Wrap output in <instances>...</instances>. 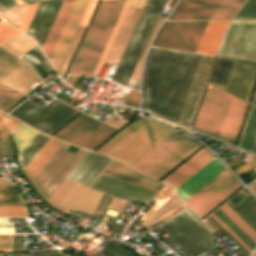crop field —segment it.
Masks as SVG:
<instances>
[{
    "label": "crop field",
    "instance_id": "1",
    "mask_svg": "<svg viewBox=\"0 0 256 256\" xmlns=\"http://www.w3.org/2000/svg\"><path fill=\"white\" fill-rule=\"evenodd\" d=\"M199 56L154 48L147 67L144 109L177 122Z\"/></svg>",
    "mask_w": 256,
    "mask_h": 256
},
{
    "label": "crop field",
    "instance_id": "2",
    "mask_svg": "<svg viewBox=\"0 0 256 256\" xmlns=\"http://www.w3.org/2000/svg\"><path fill=\"white\" fill-rule=\"evenodd\" d=\"M247 104L207 88L193 128L234 144Z\"/></svg>",
    "mask_w": 256,
    "mask_h": 256
},
{
    "label": "crop field",
    "instance_id": "3",
    "mask_svg": "<svg viewBox=\"0 0 256 256\" xmlns=\"http://www.w3.org/2000/svg\"><path fill=\"white\" fill-rule=\"evenodd\" d=\"M201 146L172 131L128 166L159 180Z\"/></svg>",
    "mask_w": 256,
    "mask_h": 256
},
{
    "label": "crop field",
    "instance_id": "4",
    "mask_svg": "<svg viewBox=\"0 0 256 256\" xmlns=\"http://www.w3.org/2000/svg\"><path fill=\"white\" fill-rule=\"evenodd\" d=\"M125 0L103 1L70 74L91 76Z\"/></svg>",
    "mask_w": 256,
    "mask_h": 256
},
{
    "label": "crop field",
    "instance_id": "5",
    "mask_svg": "<svg viewBox=\"0 0 256 256\" xmlns=\"http://www.w3.org/2000/svg\"><path fill=\"white\" fill-rule=\"evenodd\" d=\"M214 158L204 147L162 182L170 185L175 190ZM224 169L226 168L215 158L175 191L184 201Z\"/></svg>",
    "mask_w": 256,
    "mask_h": 256
},
{
    "label": "crop field",
    "instance_id": "6",
    "mask_svg": "<svg viewBox=\"0 0 256 256\" xmlns=\"http://www.w3.org/2000/svg\"><path fill=\"white\" fill-rule=\"evenodd\" d=\"M256 78V63L217 57L209 84L249 100Z\"/></svg>",
    "mask_w": 256,
    "mask_h": 256
},
{
    "label": "crop field",
    "instance_id": "7",
    "mask_svg": "<svg viewBox=\"0 0 256 256\" xmlns=\"http://www.w3.org/2000/svg\"><path fill=\"white\" fill-rule=\"evenodd\" d=\"M159 226L190 256L214 249L209 230L188 208Z\"/></svg>",
    "mask_w": 256,
    "mask_h": 256
},
{
    "label": "crop field",
    "instance_id": "8",
    "mask_svg": "<svg viewBox=\"0 0 256 256\" xmlns=\"http://www.w3.org/2000/svg\"><path fill=\"white\" fill-rule=\"evenodd\" d=\"M77 113L79 111L56 99L42 109L27 99L9 114L51 135Z\"/></svg>",
    "mask_w": 256,
    "mask_h": 256
},
{
    "label": "crop field",
    "instance_id": "9",
    "mask_svg": "<svg viewBox=\"0 0 256 256\" xmlns=\"http://www.w3.org/2000/svg\"><path fill=\"white\" fill-rule=\"evenodd\" d=\"M164 0H149L129 45L123 55L113 81L126 85L135 63L141 53Z\"/></svg>",
    "mask_w": 256,
    "mask_h": 256
},
{
    "label": "crop field",
    "instance_id": "10",
    "mask_svg": "<svg viewBox=\"0 0 256 256\" xmlns=\"http://www.w3.org/2000/svg\"><path fill=\"white\" fill-rule=\"evenodd\" d=\"M116 131V129L82 113L54 137L93 150Z\"/></svg>",
    "mask_w": 256,
    "mask_h": 256
},
{
    "label": "crop field",
    "instance_id": "11",
    "mask_svg": "<svg viewBox=\"0 0 256 256\" xmlns=\"http://www.w3.org/2000/svg\"><path fill=\"white\" fill-rule=\"evenodd\" d=\"M241 186L226 169L185 203L201 219Z\"/></svg>",
    "mask_w": 256,
    "mask_h": 256
},
{
    "label": "crop field",
    "instance_id": "12",
    "mask_svg": "<svg viewBox=\"0 0 256 256\" xmlns=\"http://www.w3.org/2000/svg\"><path fill=\"white\" fill-rule=\"evenodd\" d=\"M102 196L103 193L64 179L47 202L66 213L73 209L93 215Z\"/></svg>",
    "mask_w": 256,
    "mask_h": 256
},
{
    "label": "crop field",
    "instance_id": "13",
    "mask_svg": "<svg viewBox=\"0 0 256 256\" xmlns=\"http://www.w3.org/2000/svg\"><path fill=\"white\" fill-rule=\"evenodd\" d=\"M169 132L171 130L148 121L107 155L128 165Z\"/></svg>",
    "mask_w": 256,
    "mask_h": 256
},
{
    "label": "crop field",
    "instance_id": "14",
    "mask_svg": "<svg viewBox=\"0 0 256 256\" xmlns=\"http://www.w3.org/2000/svg\"><path fill=\"white\" fill-rule=\"evenodd\" d=\"M218 55L256 60V21H233Z\"/></svg>",
    "mask_w": 256,
    "mask_h": 256
},
{
    "label": "crop field",
    "instance_id": "15",
    "mask_svg": "<svg viewBox=\"0 0 256 256\" xmlns=\"http://www.w3.org/2000/svg\"><path fill=\"white\" fill-rule=\"evenodd\" d=\"M206 22H167L155 45L194 52Z\"/></svg>",
    "mask_w": 256,
    "mask_h": 256
},
{
    "label": "crop field",
    "instance_id": "16",
    "mask_svg": "<svg viewBox=\"0 0 256 256\" xmlns=\"http://www.w3.org/2000/svg\"><path fill=\"white\" fill-rule=\"evenodd\" d=\"M213 57L201 55L190 89L188 91L180 118L179 123L188 127L191 126L196 107L207 77V73Z\"/></svg>",
    "mask_w": 256,
    "mask_h": 256
},
{
    "label": "crop field",
    "instance_id": "17",
    "mask_svg": "<svg viewBox=\"0 0 256 256\" xmlns=\"http://www.w3.org/2000/svg\"><path fill=\"white\" fill-rule=\"evenodd\" d=\"M62 1L63 0H52L40 3L26 32L38 42L41 48Z\"/></svg>",
    "mask_w": 256,
    "mask_h": 256
},
{
    "label": "crop field",
    "instance_id": "18",
    "mask_svg": "<svg viewBox=\"0 0 256 256\" xmlns=\"http://www.w3.org/2000/svg\"><path fill=\"white\" fill-rule=\"evenodd\" d=\"M89 0H76L68 16L64 28L49 58L50 62L57 70L63 55L71 41V38L78 26V23L86 9Z\"/></svg>",
    "mask_w": 256,
    "mask_h": 256
},
{
    "label": "crop field",
    "instance_id": "19",
    "mask_svg": "<svg viewBox=\"0 0 256 256\" xmlns=\"http://www.w3.org/2000/svg\"><path fill=\"white\" fill-rule=\"evenodd\" d=\"M94 188L103 192L112 193L127 197L133 200L148 203L157 191L139 187L133 184L115 180L109 177L100 175L95 181Z\"/></svg>",
    "mask_w": 256,
    "mask_h": 256
},
{
    "label": "crop field",
    "instance_id": "20",
    "mask_svg": "<svg viewBox=\"0 0 256 256\" xmlns=\"http://www.w3.org/2000/svg\"><path fill=\"white\" fill-rule=\"evenodd\" d=\"M110 158L88 151L66 179L90 186Z\"/></svg>",
    "mask_w": 256,
    "mask_h": 256
},
{
    "label": "crop field",
    "instance_id": "21",
    "mask_svg": "<svg viewBox=\"0 0 256 256\" xmlns=\"http://www.w3.org/2000/svg\"><path fill=\"white\" fill-rule=\"evenodd\" d=\"M222 0H184L170 20H209Z\"/></svg>",
    "mask_w": 256,
    "mask_h": 256
},
{
    "label": "crop field",
    "instance_id": "22",
    "mask_svg": "<svg viewBox=\"0 0 256 256\" xmlns=\"http://www.w3.org/2000/svg\"><path fill=\"white\" fill-rule=\"evenodd\" d=\"M229 21H208L195 52L214 55Z\"/></svg>",
    "mask_w": 256,
    "mask_h": 256
},
{
    "label": "crop field",
    "instance_id": "23",
    "mask_svg": "<svg viewBox=\"0 0 256 256\" xmlns=\"http://www.w3.org/2000/svg\"><path fill=\"white\" fill-rule=\"evenodd\" d=\"M110 172H113L112 178L123 180L126 182L134 183L137 185L145 186L148 188L160 190V188L164 185L161 184L151 178H148L114 160H112L109 165L105 168ZM102 175H105L102 173ZM107 176V175H105ZM110 177V176H109Z\"/></svg>",
    "mask_w": 256,
    "mask_h": 256
},
{
    "label": "crop field",
    "instance_id": "24",
    "mask_svg": "<svg viewBox=\"0 0 256 256\" xmlns=\"http://www.w3.org/2000/svg\"><path fill=\"white\" fill-rule=\"evenodd\" d=\"M75 0H64L61 8L57 14V17L54 21V24L50 30V33L46 39V42L42 48L45 55L49 58L53 47L58 39V36L62 30V27L67 19V16L72 8V5Z\"/></svg>",
    "mask_w": 256,
    "mask_h": 256
},
{
    "label": "crop field",
    "instance_id": "25",
    "mask_svg": "<svg viewBox=\"0 0 256 256\" xmlns=\"http://www.w3.org/2000/svg\"><path fill=\"white\" fill-rule=\"evenodd\" d=\"M61 143L62 141L53 139L51 137L49 138V140L45 143L41 150L23 170L30 181L42 168L46 161L51 157V155L56 151V149L61 145Z\"/></svg>",
    "mask_w": 256,
    "mask_h": 256
},
{
    "label": "crop field",
    "instance_id": "26",
    "mask_svg": "<svg viewBox=\"0 0 256 256\" xmlns=\"http://www.w3.org/2000/svg\"><path fill=\"white\" fill-rule=\"evenodd\" d=\"M19 58L27 62L40 79L54 70H52L38 46H35Z\"/></svg>",
    "mask_w": 256,
    "mask_h": 256
},
{
    "label": "crop field",
    "instance_id": "27",
    "mask_svg": "<svg viewBox=\"0 0 256 256\" xmlns=\"http://www.w3.org/2000/svg\"><path fill=\"white\" fill-rule=\"evenodd\" d=\"M226 203L256 231V199L250 193L235 206Z\"/></svg>",
    "mask_w": 256,
    "mask_h": 256
},
{
    "label": "crop field",
    "instance_id": "28",
    "mask_svg": "<svg viewBox=\"0 0 256 256\" xmlns=\"http://www.w3.org/2000/svg\"><path fill=\"white\" fill-rule=\"evenodd\" d=\"M256 142V106L251 105L245 127L239 142V147L253 151Z\"/></svg>",
    "mask_w": 256,
    "mask_h": 256
},
{
    "label": "crop field",
    "instance_id": "29",
    "mask_svg": "<svg viewBox=\"0 0 256 256\" xmlns=\"http://www.w3.org/2000/svg\"><path fill=\"white\" fill-rule=\"evenodd\" d=\"M49 136H46L41 133H37V135L33 138V140L29 143V145L25 148V150L19 156V164L22 169L29 163V161L34 157V155L38 152V150L43 146V144L48 140Z\"/></svg>",
    "mask_w": 256,
    "mask_h": 256
},
{
    "label": "crop field",
    "instance_id": "30",
    "mask_svg": "<svg viewBox=\"0 0 256 256\" xmlns=\"http://www.w3.org/2000/svg\"><path fill=\"white\" fill-rule=\"evenodd\" d=\"M141 117V116H140ZM139 117V118H140ZM136 121V120H135ZM147 120L143 117L138 119L120 134H118L115 138L105 144L102 148H100L97 152L106 155L109 153L113 148H115L118 144H120L123 140H125L129 135H131L134 131H136L139 127H141Z\"/></svg>",
    "mask_w": 256,
    "mask_h": 256
},
{
    "label": "crop field",
    "instance_id": "31",
    "mask_svg": "<svg viewBox=\"0 0 256 256\" xmlns=\"http://www.w3.org/2000/svg\"><path fill=\"white\" fill-rule=\"evenodd\" d=\"M244 0H223L210 20L231 19Z\"/></svg>",
    "mask_w": 256,
    "mask_h": 256
},
{
    "label": "crop field",
    "instance_id": "32",
    "mask_svg": "<svg viewBox=\"0 0 256 256\" xmlns=\"http://www.w3.org/2000/svg\"><path fill=\"white\" fill-rule=\"evenodd\" d=\"M37 131L20 124L19 127L12 134L13 139L18 146V155L24 150L32 138L36 135Z\"/></svg>",
    "mask_w": 256,
    "mask_h": 256
},
{
    "label": "crop field",
    "instance_id": "33",
    "mask_svg": "<svg viewBox=\"0 0 256 256\" xmlns=\"http://www.w3.org/2000/svg\"><path fill=\"white\" fill-rule=\"evenodd\" d=\"M104 256H132L124 248L118 244H113L109 246L106 250L100 252ZM4 253L0 252V256H3ZM8 256H69L61 252L48 253V254H8Z\"/></svg>",
    "mask_w": 256,
    "mask_h": 256
},
{
    "label": "crop field",
    "instance_id": "34",
    "mask_svg": "<svg viewBox=\"0 0 256 256\" xmlns=\"http://www.w3.org/2000/svg\"><path fill=\"white\" fill-rule=\"evenodd\" d=\"M227 217H229L245 234L256 242V232L242 220L226 203L219 208Z\"/></svg>",
    "mask_w": 256,
    "mask_h": 256
},
{
    "label": "crop field",
    "instance_id": "35",
    "mask_svg": "<svg viewBox=\"0 0 256 256\" xmlns=\"http://www.w3.org/2000/svg\"><path fill=\"white\" fill-rule=\"evenodd\" d=\"M24 95L0 84V110L6 111Z\"/></svg>",
    "mask_w": 256,
    "mask_h": 256
},
{
    "label": "crop field",
    "instance_id": "36",
    "mask_svg": "<svg viewBox=\"0 0 256 256\" xmlns=\"http://www.w3.org/2000/svg\"><path fill=\"white\" fill-rule=\"evenodd\" d=\"M221 222H223L241 241H243L251 250L255 243L245 235L229 218H227L219 209L213 213Z\"/></svg>",
    "mask_w": 256,
    "mask_h": 256
},
{
    "label": "crop field",
    "instance_id": "37",
    "mask_svg": "<svg viewBox=\"0 0 256 256\" xmlns=\"http://www.w3.org/2000/svg\"><path fill=\"white\" fill-rule=\"evenodd\" d=\"M131 1H132V0H126L125 4H124V6H123V9H122V11H121V13H120V15H119V17H118V20H117V22H116V24H115V26H114V29H113V31H112L110 37H109V40H108V42H107V44H106V46H105V49H104V51H103V53H102V55H101V58H100V60H99V62H98V64H97V66H96V69H95V71H94L95 73L98 72V70H99V68H100V66H101V64H102V62H103V60H104V58H105V56H106V53H107V51H108V49H109V47H110V45H111V43H112V41H113V39H114V37H115V34H116V32H117V30H118V28H119V26H120V24H121V22H122V20H123V18H124V15H125V13H126L128 7H129V5H130V3H131ZM98 73H99V72H98Z\"/></svg>",
    "mask_w": 256,
    "mask_h": 256
},
{
    "label": "crop field",
    "instance_id": "38",
    "mask_svg": "<svg viewBox=\"0 0 256 256\" xmlns=\"http://www.w3.org/2000/svg\"><path fill=\"white\" fill-rule=\"evenodd\" d=\"M20 122L0 112V140L10 135Z\"/></svg>",
    "mask_w": 256,
    "mask_h": 256
},
{
    "label": "crop field",
    "instance_id": "39",
    "mask_svg": "<svg viewBox=\"0 0 256 256\" xmlns=\"http://www.w3.org/2000/svg\"><path fill=\"white\" fill-rule=\"evenodd\" d=\"M234 19H256V0H248Z\"/></svg>",
    "mask_w": 256,
    "mask_h": 256
},
{
    "label": "crop field",
    "instance_id": "40",
    "mask_svg": "<svg viewBox=\"0 0 256 256\" xmlns=\"http://www.w3.org/2000/svg\"><path fill=\"white\" fill-rule=\"evenodd\" d=\"M18 30L13 28L12 26L8 25L5 21L0 23V44L13 35L17 34Z\"/></svg>",
    "mask_w": 256,
    "mask_h": 256
},
{
    "label": "crop field",
    "instance_id": "41",
    "mask_svg": "<svg viewBox=\"0 0 256 256\" xmlns=\"http://www.w3.org/2000/svg\"><path fill=\"white\" fill-rule=\"evenodd\" d=\"M0 215L4 216H27L24 207L0 206Z\"/></svg>",
    "mask_w": 256,
    "mask_h": 256
},
{
    "label": "crop field",
    "instance_id": "42",
    "mask_svg": "<svg viewBox=\"0 0 256 256\" xmlns=\"http://www.w3.org/2000/svg\"><path fill=\"white\" fill-rule=\"evenodd\" d=\"M38 4L39 3L31 4L30 6L28 5L29 8H28V10H27V12H26V14H25V16H24V18H23V20H22L18 29L22 30L23 32H26Z\"/></svg>",
    "mask_w": 256,
    "mask_h": 256
},
{
    "label": "crop field",
    "instance_id": "43",
    "mask_svg": "<svg viewBox=\"0 0 256 256\" xmlns=\"http://www.w3.org/2000/svg\"><path fill=\"white\" fill-rule=\"evenodd\" d=\"M0 205L24 206L19 195H0Z\"/></svg>",
    "mask_w": 256,
    "mask_h": 256
},
{
    "label": "crop field",
    "instance_id": "44",
    "mask_svg": "<svg viewBox=\"0 0 256 256\" xmlns=\"http://www.w3.org/2000/svg\"><path fill=\"white\" fill-rule=\"evenodd\" d=\"M174 192L170 188L138 221L146 219L152 212H154L166 199H168Z\"/></svg>",
    "mask_w": 256,
    "mask_h": 256
},
{
    "label": "crop field",
    "instance_id": "45",
    "mask_svg": "<svg viewBox=\"0 0 256 256\" xmlns=\"http://www.w3.org/2000/svg\"><path fill=\"white\" fill-rule=\"evenodd\" d=\"M96 2H97V0H90L89 5H88L79 25L86 26L91 14H92V11L95 7Z\"/></svg>",
    "mask_w": 256,
    "mask_h": 256
},
{
    "label": "crop field",
    "instance_id": "46",
    "mask_svg": "<svg viewBox=\"0 0 256 256\" xmlns=\"http://www.w3.org/2000/svg\"><path fill=\"white\" fill-rule=\"evenodd\" d=\"M125 105L139 108V92L131 89Z\"/></svg>",
    "mask_w": 256,
    "mask_h": 256
},
{
    "label": "crop field",
    "instance_id": "47",
    "mask_svg": "<svg viewBox=\"0 0 256 256\" xmlns=\"http://www.w3.org/2000/svg\"><path fill=\"white\" fill-rule=\"evenodd\" d=\"M222 232H224L247 256H249V252L240 245L222 226H220L211 216L208 217Z\"/></svg>",
    "mask_w": 256,
    "mask_h": 256
},
{
    "label": "crop field",
    "instance_id": "48",
    "mask_svg": "<svg viewBox=\"0 0 256 256\" xmlns=\"http://www.w3.org/2000/svg\"><path fill=\"white\" fill-rule=\"evenodd\" d=\"M0 194H18L14 185H0Z\"/></svg>",
    "mask_w": 256,
    "mask_h": 256
},
{
    "label": "crop field",
    "instance_id": "49",
    "mask_svg": "<svg viewBox=\"0 0 256 256\" xmlns=\"http://www.w3.org/2000/svg\"><path fill=\"white\" fill-rule=\"evenodd\" d=\"M254 165H256V158L252 159L251 161L247 162L246 164H244L243 166L239 167L238 169H236L234 171L240 175L243 172L250 169L251 167H253Z\"/></svg>",
    "mask_w": 256,
    "mask_h": 256
},
{
    "label": "crop field",
    "instance_id": "50",
    "mask_svg": "<svg viewBox=\"0 0 256 256\" xmlns=\"http://www.w3.org/2000/svg\"><path fill=\"white\" fill-rule=\"evenodd\" d=\"M0 4H1L5 9L18 5L15 0H0Z\"/></svg>",
    "mask_w": 256,
    "mask_h": 256
},
{
    "label": "crop field",
    "instance_id": "51",
    "mask_svg": "<svg viewBox=\"0 0 256 256\" xmlns=\"http://www.w3.org/2000/svg\"><path fill=\"white\" fill-rule=\"evenodd\" d=\"M219 224H221L239 243H241L250 253L252 252L244 243H242L224 224H222L213 214L211 215Z\"/></svg>",
    "mask_w": 256,
    "mask_h": 256
},
{
    "label": "crop field",
    "instance_id": "52",
    "mask_svg": "<svg viewBox=\"0 0 256 256\" xmlns=\"http://www.w3.org/2000/svg\"><path fill=\"white\" fill-rule=\"evenodd\" d=\"M0 227H12V221L8 222V218H0Z\"/></svg>",
    "mask_w": 256,
    "mask_h": 256
},
{
    "label": "crop field",
    "instance_id": "53",
    "mask_svg": "<svg viewBox=\"0 0 256 256\" xmlns=\"http://www.w3.org/2000/svg\"><path fill=\"white\" fill-rule=\"evenodd\" d=\"M11 235H0V243H10Z\"/></svg>",
    "mask_w": 256,
    "mask_h": 256
},
{
    "label": "crop field",
    "instance_id": "54",
    "mask_svg": "<svg viewBox=\"0 0 256 256\" xmlns=\"http://www.w3.org/2000/svg\"><path fill=\"white\" fill-rule=\"evenodd\" d=\"M0 234H12V228H0Z\"/></svg>",
    "mask_w": 256,
    "mask_h": 256
},
{
    "label": "crop field",
    "instance_id": "55",
    "mask_svg": "<svg viewBox=\"0 0 256 256\" xmlns=\"http://www.w3.org/2000/svg\"><path fill=\"white\" fill-rule=\"evenodd\" d=\"M238 151H240V150L236 149V150H234V151L228 153L227 155H225V156H223V157H221V158H222V160L224 161V160H226L227 158H229L230 156H232V155H234L235 153H237Z\"/></svg>",
    "mask_w": 256,
    "mask_h": 256
},
{
    "label": "crop field",
    "instance_id": "56",
    "mask_svg": "<svg viewBox=\"0 0 256 256\" xmlns=\"http://www.w3.org/2000/svg\"><path fill=\"white\" fill-rule=\"evenodd\" d=\"M10 244H0V249H9Z\"/></svg>",
    "mask_w": 256,
    "mask_h": 256
},
{
    "label": "crop field",
    "instance_id": "57",
    "mask_svg": "<svg viewBox=\"0 0 256 256\" xmlns=\"http://www.w3.org/2000/svg\"><path fill=\"white\" fill-rule=\"evenodd\" d=\"M169 186H165L163 190L156 196V198L153 200V202L168 188Z\"/></svg>",
    "mask_w": 256,
    "mask_h": 256
},
{
    "label": "crop field",
    "instance_id": "58",
    "mask_svg": "<svg viewBox=\"0 0 256 256\" xmlns=\"http://www.w3.org/2000/svg\"><path fill=\"white\" fill-rule=\"evenodd\" d=\"M105 195L106 194H104V196H103V198H102V200H101V202H100V204H99V206H98V208H97V210L99 209V207H100V205H101V203H102V201H103V199H104V197H105ZM109 197V196H108ZM108 199V198H107ZM107 201V200H106ZM106 203V202H105ZM105 205V204H104ZM104 207V206H103ZM103 209V208H102ZM102 211V210H101Z\"/></svg>",
    "mask_w": 256,
    "mask_h": 256
},
{
    "label": "crop field",
    "instance_id": "59",
    "mask_svg": "<svg viewBox=\"0 0 256 256\" xmlns=\"http://www.w3.org/2000/svg\"><path fill=\"white\" fill-rule=\"evenodd\" d=\"M23 3H26V2H31V1H37V0H22Z\"/></svg>",
    "mask_w": 256,
    "mask_h": 256
},
{
    "label": "crop field",
    "instance_id": "60",
    "mask_svg": "<svg viewBox=\"0 0 256 256\" xmlns=\"http://www.w3.org/2000/svg\"><path fill=\"white\" fill-rule=\"evenodd\" d=\"M17 2H18V4H21L22 3V1L21 0H16Z\"/></svg>",
    "mask_w": 256,
    "mask_h": 256
},
{
    "label": "crop field",
    "instance_id": "61",
    "mask_svg": "<svg viewBox=\"0 0 256 256\" xmlns=\"http://www.w3.org/2000/svg\"><path fill=\"white\" fill-rule=\"evenodd\" d=\"M254 153H256V145H255V148H254V151H253Z\"/></svg>",
    "mask_w": 256,
    "mask_h": 256
},
{
    "label": "crop field",
    "instance_id": "62",
    "mask_svg": "<svg viewBox=\"0 0 256 256\" xmlns=\"http://www.w3.org/2000/svg\"><path fill=\"white\" fill-rule=\"evenodd\" d=\"M254 104H256V96H255V99H254V102H253Z\"/></svg>",
    "mask_w": 256,
    "mask_h": 256
},
{
    "label": "crop field",
    "instance_id": "63",
    "mask_svg": "<svg viewBox=\"0 0 256 256\" xmlns=\"http://www.w3.org/2000/svg\"><path fill=\"white\" fill-rule=\"evenodd\" d=\"M0 251H9V250H0Z\"/></svg>",
    "mask_w": 256,
    "mask_h": 256
}]
</instances>
